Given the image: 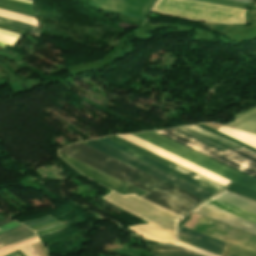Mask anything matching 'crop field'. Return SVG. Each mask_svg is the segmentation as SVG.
Wrapping results in <instances>:
<instances>
[{"instance_id": "crop-field-6", "label": "crop field", "mask_w": 256, "mask_h": 256, "mask_svg": "<svg viewBox=\"0 0 256 256\" xmlns=\"http://www.w3.org/2000/svg\"><path fill=\"white\" fill-rule=\"evenodd\" d=\"M84 144L97 149L109 156H112L126 164H129L141 171H144L156 178H159L171 185H174L188 193H191L203 200L207 199L208 197H210L213 193L202 189L192 183H189L181 178H178L168 172H165L157 167H154L146 162H143L133 156H130L122 151H119L109 145H106L98 140H94V141H89V142H83Z\"/></svg>"}, {"instance_id": "crop-field-4", "label": "crop field", "mask_w": 256, "mask_h": 256, "mask_svg": "<svg viewBox=\"0 0 256 256\" xmlns=\"http://www.w3.org/2000/svg\"><path fill=\"white\" fill-rule=\"evenodd\" d=\"M134 136L145 140L153 145H156L166 151H169L179 157H182L192 163H195L203 168H206L216 174H219L229 180L256 190V178L238 172L226 165L210 159L155 132L134 134Z\"/></svg>"}, {"instance_id": "crop-field-18", "label": "crop field", "mask_w": 256, "mask_h": 256, "mask_svg": "<svg viewBox=\"0 0 256 256\" xmlns=\"http://www.w3.org/2000/svg\"><path fill=\"white\" fill-rule=\"evenodd\" d=\"M199 23L208 27L211 31L222 33L224 35H227L233 31L239 29L240 27H242V26L228 25V24H210V23H202V22H199Z\"/></svg>"}, {"instance_id": "crop-field-30", "label": "crop field", "mask_w": 256, "mask_h": 256, "mask_svg": "<svg viewBox=\"0 0 256 256\" xmlns=\"http://www.w3.org/2000/svg\"><path fill=\"white\" fill-rule=\"evenodd\" d=\"M232 1H237V2H242V3H248V4H253L254 0H232Z\"/></svg>"}, {"instance_id": "crop-field-3", "label": "crop field", "mask_w": 256, "mask_h": 256, "mask_svg": "<svg viewBox=\"0 0 256 256\" xmlns=\"http://www.w3.org/2000/svg\"><path fill=\"white\" fill-rule=\"evenodd\" d=\"M152 11L186 20L229 24L245 23L246 12L244 9L194 0H159Z\"/></svg>"}, {"instance_id": "crop-field-1", "label": "crop field", "mask_w": 256, "mask_h": 256, "mask_svg": "<svg viewBox=\"0 0 256 256\" xmlns=\"http://www.w3.org/2000/svg\"><path fill=\"white\" fill-rule=\"evenodd\" d=\"M60 152L148 193L141 197L180 216L203 201L82 143Z\"/></svg>"}, {"instance_id": "crop-field-32", "label": "crop field", "mask_w": 256, "mask_h": 256, "mask_svg": "<svg viewBox=\"0 0 256 256\" xmlns=\"http://www.w3.org/2000/svg\"><path fill=\"white\" fill-rule=\"evenodd\" d=\"M16 1H20V2H24V3L32 4L31 1H29V0H16Z\"/></svg>"}, {"instance_id": "crop-field-14", "label": "crop field", "mask_w": 256, "mask_h": 256, "mask_svg": "<svg viewBox=\"0 0 256 256\" xmlns=\"http://www.w3.org/2000/svg\"><path fill=\"white\" fill-rule=\"evenodd\" d=\"M35 235L31 230L21 226L0 235V249L19 240Z\"/></svg>"}, {"instance_id": "crop-field-7", "label": "crop field", "mask_w": 256, "mask_h": 256, "mask_svg": "<svg viewBox=\"0 0 256 256\" xmlns=\"http://www.w3.org/2000/svg\"><path fill=\"white\" fill-rule=\"evenodd\" d=\"M192 230L256 254V237L202 217Z\"/></svg>"}, {"instance_id": "crop-field-26", "label": "crop field", "mask_w": 256, "mask_h": 256, "mask_svg": "<svg viewBox=\"0 0 256 256\" xmlns=\"http://www.w3.org/2000/svg\"><path fill=\"white\" fill-rule=\"evenodd\" d=\"M247 21L248 22H255L256 21V10L248 11Z\"/></svg>"}, {"instance_id": "crop-field-15", "label": "crop field", "mask_w": 256, "mask_h": 256, "mask_svg": "<svg viewBox=\"0 0 256 256\" xmlns=\"http://www.w3.org/2000/svg\"><path fill=\"white\" fill-rule=\"evenodd\" d=\"M149 248L155 256H200L177 246H149Z\"/></svg>"}, {"instance_id": "crop-field-12", "label": "crop field", "mask_w": 256, "mask_h": 256, "mask_svg": "<svg viewBox=\"0 0 256 256\" xmlns=\"http://www.w3.org/2000/svg\"><path fill=\"white\" fill-rule=\"evenodd\" d=\"M99 140H101V141H103V142H105V143H107L109 145H112V146H114V147H116V148H118V149H120L122 151H125V152H127V153H129V154H131V155H133L135 157H138V158H140V159H142V160H144V161H146L148 163H151V164H153V165H155V166H157V167H159L161 169H164V170H166V171H168V172H170V173H172L174 175H177V176H179V177H181V178H183V179H185L187 181H190V182H192V183H194V184H196V185H198L200 187H203V188H205V189H207V190H209V191H211L213 193L218 191V190H216V189H214V188H212V187H210V186H208L206 184H203V183H201L199 181H195V180H193V179H191V178H189V177H187V176H185V175H183V174H181L179 172H176V171H174V170H172V169H170V168H168V167H166V166H164L162 164H159V163H157V162H155V161H153V160L143 156V155H140V154H138V153H136V152L126 148V147H123V146H121V145H119V144H117V143H115V142H113V141H111V140H109L107 138H103V139H99Z\"/></svg>"}, {"instance_id": "crop-field-20", "label": "crop field", "mask_w": 256, "mask_h": 256, "mask_svg": "<svg viewBox=\"0 0 256 256\" xmlns=\"http://www.w3.org/2000/svg\"><path fill=\"white\" fill-rule=\"evenodd\" d=\"M18 36H19V34L0 30V43L6 44L8 46H12V44L15 42V40L18 38Z\"/></svg>"}, {"instance_id": "crop-field-27", "label": "crop field", "mask_w": 256, "mask_h": 256, "mask_svg": "<svg viewBox=\"0 0 256 256\" xmlns=\"http://www.w3.org/2000/svg\"><path fill=\"white\" fill-rule=\"evenodd\" d=\"M121 19H124V20H127L129 22H133V23H139V24H142L143 20H139V19H136V18H133V17H129V16H121Z\"/></svg>"}, {"instance_id": "crop-field-21", "label": "crop field", "mask_w": 256, "mask_h": 256, "mask_svg": "<svg viewBox=\"0 0 256 256\" xmlns=\"http://www.w3.org/2000/svg\"><path fill=\"white\" fill-rule=\"evenodd\" d=\"M199 126L204 128V129H206V130H208V131H210V132H212V133H214V134H216V135H219V136H221V137H223V138H225V139H227V140H229V141H231V142H233L235 144H238V145H240V146H242V147H244V148H246V149H248V150H250V151H252L254 153H256V149L251 147V146H248V145H246V144H244V143H242L240 141H237V140H235V139H233V138H231L229 136H226V135H224V134H222V133H220L218 131H215V130H213L211 128H208V127H206L204 125H199Z\"/></svg>"}, {"instance_id": "crop-field-9", "label": "crop field", "mask_w": 256, "mask_h": 256, "mask_svg": "<svg viewBox=\"0 0 256 256\" xmlns=\"http://www.w3.org/2000/svg\"><path fill=\"white\" fill-rule=\"evenodd\" d=\"M97 8L145 19L156 0H90Z\"/></svg>"}, {"instance_id": "crop-field-5", "label": "crop field", "mask_w": 256, "mask_h": 256, "mask_svg": "<svg viewBox=\"0 0 256 256\" xmlns=\"http://www.w3.org/2000/svg\"><path fill=\"white\" fill-rule=\"evenodd\" d=\"M103 199L176 236V222L180 217L135 195L111 192Z\"/></svg>"}, {"instance_id": "crop-field-34", "label": "crop field", "mask_w": 256, "mask_h": 256, "mask_svg": "<svg viewBox=\"0 0 256 256\" xmlns=\"http://www.w3.org/2000/svg\"><path fill=\"white\" fill-rule=\"evenodd\" d=\"M7 256H19L16 252L12 253V254H9Z\"/></svg>"}, {"instance_id": "crop-field-23", "label": "crop field", "mask_w": 256, "mask_h": 256, "mask_svg": "<svg viewBox=\"0 0 256 256\" xmlns=\"http://www.w3.org/2000/svg\"><path fill=\"white\" fill-rule=\"evenodd\" d=\"M49 219H53V218L51 216H46V217H42V218H39V219L22 222V224H24L26 226H29V225H34V224H37V223H40V222H43V221H46V220H49Z\"/></svg>"}, {"instance_id": "crop-field-28", "label": "crop field", "mask_w": 256, "mask_h": 256, "mask_svg": "<svg viewBox=\"0 0 256 256\" xmlns=\"http://www.w3.org/2000/svg\"><path fill=\"white\" fill-rule=\"evenodd\" d=\"M255 110H256V107H255V108H252V109H250V110L244 111V112H242V113H240V114L234 116V118L236 119V118H238V117H240V116H242V115H245V114L250 113V112L255 111Z\"/></svg>"}, {"instance_id": "crop-field-2", "label": "crop field", "mask_w": 256, "mask_h": 256, "mask_svg": "<svg viewBox=\"0 0 256 256\" xmlns=\"http://www.w3.org/2000/svg\"><path fill=\"white\" fill-rule=\"evenodd\" d=\"M158 131L157 133L170 138L180 144H183L195 151H198L210 158H213L223 164H226L238 171L249 174L256 177V154L241 147L226 141L212 133H209L197 126L181 127L176 129ZM177 135H188L194 139L200 140L207 145L213 146L220 151H226L228 148L239 149L233 150L228 149L226 152H220L210 146H207L193 138L187 136H176Z\"/></svg>"}, {"instance_id": "crop-field-19", "label": "crop field", "mask_w": 256, "mask_h": 256, "mask_svg": "<svg viewBox=\"0 0 256 256\" xmlns=\"http://www.w3.org/2000/svg\"><path fill=\"white\" fill-rule=\"evenodd\" d=\"M227 189L235 191L237 193L243 194L245 196H248L250 198L256 199V191L252 190L250 188L244 187L242 185L236 184L232 182Z\"/></svg>"}, {"instance_id": "crop-field-17", "label": "crop field", "mask_w": 256, "mask_h": 256, "mask_svg": "<svg viewBox=\"0 0 256 256\" xmlns=\"http://www.w3.org/2000/svg\"><path fill=\"white\" fill-rule=\"evenodd\" d=\"M226 125L256 134V112L247 114Z\"/></svg>"}, {"instance_id": "crop-field-22", "label": "crop field", "mask_w": 256, "mask_h": 256, "mask_svg": "<svg viewBox=\"0 0 256 256\" xmlns=\"http://www.w3.org/2000/svg\"><path fill=\"white\" fill-rule=\"evenodd\" d=\"M200 1L221 4V5H227V6H233V7H239V8H244V9H247L250 6L248 4H242V3L224 1V0H200Z\"/></svg>"}, {"instance_id": "crop-field-35", "label": "crop field", "mask_w": 256, "mask_h": 256, "mask_svg": "<svg viewBox=\"0 0 256 256\" xmlns=\"http://www.w3.org/2000/svg\"><path fill=\"white\" fill-rule=\"evenodd\" d=\"M1 27H3V26H1ZM4 28H6V27H4ZM7 29H10V28H7ZM11 30H14V29H11ZM14 31H17V32L25 34V32H21V31H18V30H14Z\"/></svg>"}, {"instance_id": "crop-field-29", "label": "crop field", "mask_w": 256, "mask_h": 256, "mask_svg": "<svg viewBox=\"0 0 256 256\" xmlns=\"http://www.w3.org/2000/svg\"><path fill=\"white\" fill-rule=\"evenodd\" d=\"M59 225H62V223L60 224H57V225H54V226H51V227H47V228H43V229H39V230H35L34 232L37 233V232H41V231H44V230H48V229H51V228H54V227H57Z\"/></svg>"}, {"instance_id": "crop-field-31", "label": "crop field", "mask_w": 256, "mask_h": 256, "mask_svg": "<svg viewBox=\"0 0 256 256\" xmlns=\"http://www.w3.org/2000/svg\"><path fill=\"white\" fill-rule=\"evenodd\" d=\"M54 221H56V220L54 219V220L46 222V223H42V224H38V225H34V226H29V228L40 226V225H44V224H48V223H51V222H54Z\"/></svg>"}, {"instance_id": "crop-field-11", "label": "crop field", "mask_w": 256, "mask_h": 256, "mask_svg": "<svg viewBox=\"0 0 256 256\" xmlns=\"http://www.w3.org/2000/svg\"><path fill=\"white\" fill-rule=\"evenodd\" d=\"M194 212L256 235V224L202 204Z\"/></svg>"}, {"instance_id": "crop-field-8", "label": "crop field", "mask_w": 256, "mask_h": 256, "mask_svg": "<svg viewBox=\"0 0 256 256\" xmlns=\"http://www.w3.org/2000/svg\"><path fill=\"white\" fill-rule=\"evenodd\" d=\"M178 240L218 256H256L184 227L179 229Z\"/></svg>"}, {"instance_id": "crop-field-16", "label": "crop field", "mask_w": 256, "mask_h": 256, "mask_svg": "<svg viewBox=\"0 0 256 256\" xmlns=\"http://www.w3.org/2000/svg\"><path fill=\"white\" fill-rule=\"evenodd\" d=\"M107 138H109V139H111V140H113V141H115V142H117L119 144H122V145H124V146H126V147H128V148H130L132 150H135V151H137V152H139V153H141V154H143V155H145L147 157H150V158H152V159H154V160H156V161H158V162H160L162 164H165V165H167V166H169V167H171V168H173L175 170H178V171H180V172H182V173H184V174H186V175H188L190 177H193L195 179H199L200 178V177H198V176H196V175H194V174H192V173H190V172H188V171H186V170H184L182 168H179V167H177V166H175V165H173V164H171V163H169V162H167V161H165V160H163V159H161L159 157H156V156H154V155H152V154H150V153H148V152H146V151H144V150H142V149H140L138 147H135V146H133V145H131V144H129V143H127V142H125V141L115 137V136H111V137H107Z\"/></svg>"}, {"instance_id": "crop-field-33", "label": "crop field", "mask_w": 256, "mask_h": 256, "mask_svg": "<svg viewBox=\"0 0 256 256\" xmlns=\"http://www.w3.org/2000/svg\"><path fill=\"white\" fill-rule=\"evenodd\" d=\"M11 221H13V220H10V219L5 220V221H3V222H0V225H3V224H5V223L11 222Z\"/></svg>"}, {"instance_id": "crop-field-25", "label": "crop field", "mask_w": 256, "mask_h": 256, "mask_svg": "<svg viewBox=\"0 0 256 256\" xmlns=\"http://www.w3.org/2000/svg\"><path fill=\"white\" fill-rule=\"evenodd\" d=\"M21 251L25 256H38L31 245L21 249Z\"/></svg>"}, {"instance_id": "crop-field-10", "label": "crop field", "mask_w": 256, "mask_h": 256, "mask_svg": "<svg viewBox=\"0 0 256 256\" xmlns=\"http://www.w3.org/2000/svg\"><path fill=\"white\" fill-rule=\"evenodd\" d=\"M62 158H64L68 163H70L74 168H76L83 175L95 180L96 182L122 194L124 189L127 187V184L114 179L102 172H99L89 166H86L74 159H71L63 154H59Z\"/></svg>"}, {"instance_id": "crop-field-24", "label": "crop field", "mask_w": 256, "mask_h": 256, "mask_svg": "<svg viewBox=\"0 0 256 256\" xmlns=\"http://www.w3.org/2000/svg\"><path fill=\"white\" fill-rule=\"evenodd\" d=\"M18 226H21V225L18 224L17 222H15V221H13V222H11V223H9V224H6V225H4V226H1V227H0V234L3 233V232H5V231H8V230H10V229L16 228V227H18Z\"/></svg>"}, {"instance_id": "crop-field-13", "label": "crop field", "mask_w": 256, "mask_h": 256, "mask_svg": "<svg viewBox=\"0 0 256 256\" xmlns=\"http://www.w3.org/2000/svg\"><path fill=\"white\" fill-rule=\"evenodd\" d=\"M215 197H218L220 199L226 200L228 202L237 204L239 206L245 207L247 209H250V210H253V211L256 212V202H254L252 200H249L247 198L241 197L239 195H236L234 193L228 192L226 190H224V191L220 192L219 194L215 195ZM215 197H213V198H215ZM218 198H215V199H218ZM220 199H218V200H220ZM223 200H221V201H223ZM226 201H223V202H226ZM228 202H226V203H228ZM231 203H228V204H231ZM234 204H231V205H234ZM237 205H234V206L239 207ZM242 207H239V208L256 214L255 212L247 210V209L242 208Z\"/></svg>"}]
</instances>
